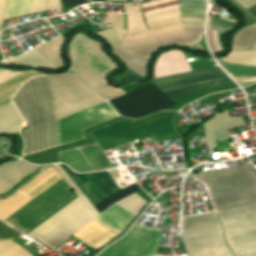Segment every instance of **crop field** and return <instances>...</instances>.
<instances>
[{"label":"crop field","mask_w":256,"mask_h":256,"mask_svg":"<svg viewBox=\"0 0 256 256\" xmlns=\"http://www.w3.org/2000/svg\"><path fill=\"white\" fill-rule=\"evenodd\" d=\"M179 5L178 0H155L142 4L143 13ZM182 24L204 25L205 0H180ZM128 32L117 49L129 55L149 59L164 46L198 42L204 26L181 25L179 6L146 14L144 26L139 5L126 7Z\"/></svg>","instance_id":"obj_2"},{"label":"crop field","mask_w":256,"mask_h":256,"mask_svg":"<svg viewBox=\"0 0 256 256\" xmlns=\"http://www.w3.org/2000/svg\"><path fill=\"white\" fill-rule=\"evenodd\" d=\"M0 60H3V58H2V56H1V54H0Z\"/></svg>","instance_id":"obj_49"},{"label":"crop field","mask_w":256,"mask_h":256,"mask_svg":"<svg viewBox=\"0 0 256 256\" xmlns=\"http://www.w3.org/2000/svg\"><path fill=\"white\" fill-rule=\"evenodd\" d=\"M112 51L123 61L125 66L130 68L139 76L143 78L145 77V64L147 62L146 59L135 58L113 48Z\"/></svg>","instance_id":"obj_25"},{"label":"crop field","mask_w":256,"mask_h":256,"mask_svg":"<svg viewBox=\"0 0 256 256\" xmlns=\"http://www.w3.org/2000/svg\"><path fill=\"white\" fill-rule=\"evenodd\" d=\"M32 0H7L5 18L18 17L30 14Z\"/></svg>","instance_id":"obj_24"},{"label":"crop field","mask_w":256,"mask_h":256,"mask_svg":"<svg viewBox=\"0 0 256 256\" xmlns=\"http://www.w3.org/2000/svg\"><path fill=\"white\" fill-rule=\"evenodd\" d=\"M253 50H256V47Z\"/></svg>","instance_id":"obj_51"},{"label":"crop field","mask_w":256,"mask_h":256,"mask_svg":"<svg viewBox=\"0 0 256 256\" xmlns=\"http://www.w3.org/2000/svg\"><path fill=\"white\" fill-rule=\"evenodd\" d=\"M202 43H203V45H204V42H203V40L201 41Z\"/></svg>","instance_id":"obj_50"},{"label":"crop field","mask_w":256,"mask_h":256,"mask_svg":"<svg viewBox=\"0 0 256 256\" xmlns=\"http://www.w3.org/2000/svg\"><path fill=\"white\" fill-rule=\"evenodd\" d=\"M161 229L146 228L134 224L126 235L104 249L98 256L153 255L157 251Z\"/></svg>","instance_id":"obj_11"},{"label":"crop field","mask_w":256,"mask_h":256,"mask_svg":"<svg viewBox=\"0 0 256 256\" xmlns=\"http://www.w3.org/2000/svg\"><path fill=\"white\" fill-rule=\"evenodd\" d=\"M39 166L30 165L24 161L19 160L15 163H7L0 166V194L11 189L21 179L29 176Z\"/></svg>","instance_id":"obj_16"},{"label":"crop field","mask_w":256,"mask_h":256,"mask_svg":"<svg viewBox=\"0 0 256 256\" xmlns=\"http://www.w3.org/2000/svg\"><path fill=\"white\" fill-rule=\"evenodd\" d=\"M236 82H253L256 81V77H233Z\"/></svg>","instance_id":"obj_42"},{"label":"crop field","mask_w":256,"mask_h":256,"mask_svg":"<svg viewBox=\"0 0 256 256\" xmlns=\"http://www.w3.org/2000/svg\"><path fill=\"white\" fill-rule=\"evenodd\" d=\"M62 42H63V39L60 36L52 41H49L35 48V50L38 51L42 56H44L48 61H50L53 64L60 58L59 51H60Z\"/></svg>","instance_id":"obj_23"},{"label":"crop field","mask_w":256,"mask_h":256,"mask_svg":"<svg viewBox=\"0 0 256 256\" xmlns=\"http://www.w3.org/2000/svg\"><path fill=\"white\" fill-rule=\"evenodd\" d=\"M58 179V176L50 167L38 177H36L34 180H32L30 183H28L26 186H24L21 190L33 196H37L39 193L48 188ZM31 199L32 198L17 191L8 199L0 201V217L7 218L9 215H11L13 212L22 207Z\"/></svg>","instance_id":"obj_14"},{"label":"crop field","mask_w":256,"mask_h":256,"mask_svg":"<svg viewBox=\"0 0 256 256\" xmlns=\"http://www.w3.org/2000/svg\"><path fill=\"white\" fill-rule=\"evenodd\" d=\"M98 36L104 38L111 47L116 48L118 45L119 41L113 31V29H108L103 32L97 33Z\"/></svg>","instance_id":"obj_36"},{"label":"crop field","mask_w":256,"mask_h":256,"mask_svg":"<svg viewBox=\"0 0 256 256\" xmlns=\"http://www.w3.org/2000/svg\"><path fill=\"white\" fill-rule=\"evenodd\" d=\"M141 188L138 186L137 183H134L108 197H106L103 201H101L100 203H98L96 206H94L97 211L100 213L101 211H103L104 209H106L108 206H110L112 203H114L115 201L133 193L136 192L138 190H140Z\"/></svg>","instance_id":"obj_26"},{"label":"crop field","mask_w":256,"mask_h":256,"mask_svg":"<svg viewBox=\"0 0 256 256\" xmlns=\"http://www.w3.org/2000/svg\"><path fill=\"white\" fill-rule=\"evenodd\" d=\"M240 5H242L245 9L256 4V0H236Z\"/></svg>","instance_id":"obj_40"},{"label":"crop field","mask_w":256,"mask_h":256,"mask_svg":"<svg viewBox=\"0 0 256 256\" xmlns=\"http://www.w3.org/2000/svg\"><path fill=\"white\" fill-rule=\"evenodd\" d=\"M138 84H134V85H125L120 87L125 93L128 92L129 90L135 88Z\"/></svg>","instance_id":"obj_43"},{"label":"crop field","mask_w":256,"mask_h":256,"mask_svg":"<svg viewBox=\"0 0 256 256\" xmlns=\"http://www.w3.org/2000/svg\"><path fill=\"white\" fill-rule=\"evenodd\" d=\"M173 112L164 114L162 116L132 125L134 123H128L124 121H119L113 124H110L108 126L102 127L100 129L95 130L92 132V136L97 141V143L100 145V147L108 146L114 143H118L121 141H124L126 139H129V141L149 135L154 133L158 141H166V140H178L182 139L179 133L175 130L173 127L172 119H173ZM172 116V117H169ZM169 117V118H166ZM166 118V119H163ZM163 119V120H160ZM160 120V121H157ZM157 121V122H154ZM154 122V123H151ZM148 123H151L149 125H146ZM128 125H132L129 127H125ZM146 125V126H143ZM143 126V127H140ZM125 127V128H122ZM140 127V128H137ZM123 132L128 131L123 133ZM90 134V135H91Z\"/></svg>","instance_id":"obj_7"},{"label":"crop field","mask_w":256,"mask_h":256,"mask_svg":"<svg viewBox=\"0 0 256 256\" xmlns=\"http://www.w3.org/2000/svg\"><path fill=\"white\" fill-rule=\"evenodd\" d=\"M190 47H192V48H194V49H196V50L204 51L199 42H198V43H195V44H193V45H190Z\"/></svg>","instance_id":"obj_44"},{"label":"crop field","mask_w":256,"mask_h":256,"mask_svg":"<svg viewBox=\"0 0 256 256\" xmlns=\"http://www.w3.org/2000/svg\"><path fill=\"white\" fill-rule=\"evenodd\" d=\"M251 10H252V14L254 15V16H256V6L255 7H253V8H251Z\"/></svg>","instance_id":"obj_46"},{"label":"crop field","mask_w":256,"mask_h":256,"mask_svg":"<svg viewBox=\"0 0 256 256\" xmlns=\"http://www.w3.org/2000/svg\"><path fill=\"white\" fill-rule=\"evenodd\" d=\"M108 20L114 28L119 40L125 37L126 31H123V14L105 12ZM124 30H126V14H124Z\"/></svg>","instance_id":"obj_30"},{"label":"crop field","mask_w":256,"mask_h":256,"mask_svg":"<svg viewBox=\"0 0 256 256\" xmlns=\"http://www.w3.org/2000/svg\"><path fill=\"white\" fill-rule=\"evenodd\" d=\"M0 256H30L13 240L0 241Z\"/></svg>","instance_id":"obj_31"},{"label":"crop field","mask_w":256,"mask_h":256,"mask_svg":"<svg viewBox=\"0 0 256 256\" xmlns=\"http://www.w3.org/2000/svg\"><path fill=\"white\" fill-rule=\"evenodd\" d=\"M232 162L235 167L194 175L207 186L217 212L256 204V175L243 159ZM217 214L232 254L256 253V205Z\"/></svg>","instance_id":"obj_3"},{"label":"crop field","mask_w":256,"mask_h":256,"mask_svg":"<svg viewBox=\"0 0 256 256\" xmlns=\"http://www.w3.org/2000/svg\"><path fill=\"white\" fill-rule=\"evenodd\" d=\"M109 102L120 115L131 118H140L176 105L153 83L135 88Z\"/></svg>","instance_id":"obj_9"},{"label":"crop field","mask_w":256,"mask_h":256,"mask_svg":"<svg viewBox=\"0 0 256 256\" xmlns=\"http://www.w3.org/2000/svg\"><path fill=\"white\" fill-rule=\"evenodd\" d=\"M5 10H6V0H0V26L3 22Z\"/></svg>","instance_id":"obj_41"},{"label":"crop field","mask_w":256,"mask_h":256,"mask_svg":"<svg viewBox=\"0 0 256 256\" xmlns=\"http://www.w3.org/2000/svg\"><path fill=\"white\" fill-rule=\"evenodd\" d=\"M236 23H237V21H233V20H229V19H211L209 26L227 31L231 27H233ZM214 28H210V29L217 30ZM221 30H217V31H220L223 33L225 32V31H221Z\"/></svg>","instance_id":"obj_35"},{"label":"crop field","mask_w":256,"mask_h":256,"mask_svg":"<svg viewBox=\"0 0 256 256\" xmlns=\"http://www.w3.org/2000/svg\"><path fill=\"white\" fill-rule=\"evenodd\" d=\"M48 78L57 119L105 101L73 73ZM48 78L28 79L13 99L31 129L20 133L25 145L23 156L57 146L56 118Z\"/></svg>","instance_id":"obj_1"},{"label":"crop field","mask_w":256,"mask_h":256,"mask_svg":"<svg viewBox=\"0 0 256 256\" xmlns=\"http://www.w3.org/2000/svg\"><path fill=\"white\" fill-rule=\"evenodd\" d=\"M190 71L181 51H169L162 54L154 65V79Z\"/></svg>","instance_id":"obj_15"},{"label":"crop field","mask_w":256,"mask_h":256,"mask_svg":"<svg viewBox=\"0 0 256 256\" xmlns=\"http://www.w3.org/2000/svg\"><path fill=\"white\" fill-rule=\"evenodd\" d=\"M134 216L135 215L114 203L93 220L118 234Z\"/></svg>","instance_id":"obj_17"},{"label":"crop field","mask_w":256,"mask_h":256,"mask_svg":"<svg viewBox=\"0 0 256 256\" xmlns=\"http://www.w3.org/2000/svg\"><path fill=\"white\" fill-rule=\"evenodd\" d=\"M53 166L78 197L33 231L27 233L52 249L99 214L60 166Z\"/></svg>","instance_id":"obj_4"},{"label":"crop field","mask_w":256,"mask_h":256,"mask_svg":"<svg viewBox=\"0 0 256 256\" xmlns=\"http://www.w3.org/2000/svg\"><path fill=\"white\" fill-rule=\"evenodd\" d=\"M213 34H214V40H215V44H216L218 51L223 50L222 44L220 42V37L222 36V33H217L214 31ZM208 37H209V41H210L212 50L217 51L215 44H214L212 31H210V30H208Z\"/></svg>","instance_id":"obj_37"},{"label":"crop field","mask_w":256,"mask_h":256,"mask_svg":"<svg viewBox=\"0 0 256 256\" xmlns=\"http://www.w3.org/2000/svg\"><path fill=\"white\" fill-rule=\"evenodd\" d=\"M116 116L118 114L105 102L58 120V146L84 139L82 129Z\"/></svg>","instance_id":"obj_10"},{"label":"crop field","mask_w":256,"mask_h":256,"mask_svg":"<svg viewBox=\"0 0 256 256\" xmlns=\"http://www.w3.org/2000/svg\"><path fill=\"white\" fill-rule=\"evenodd\" d=\"M15 234L17 233L0 223V240L10 239Z\"/></svg>","instance_id":"obj_38"},{"label":"crop field","mask_w":256,"mask_h":256,"mask_svg":"<svg viewBox=\"0 0 256 256\" xmlns=\"http://www.w3.org/2000/svg\"><path fill=\"white\" fill-rule=\"evenodd\" d=\"M105 100L124 95L125 93L120 88H113L108 84L106 79L94 88Z\"/></svg>","instance_id":"obj_33"},{"label":"crop field","mask_w":256,"mask_h":256,"mask_svg":"<svg viewBox=\"0 0 256 256\" xmlns=\"http://www.w3.org/2000/svg\"><path fill=\"white\" fill-rule=\"evenodd\" d=\"M21 125H22V124H20V125L14 127V128H12V129H10V130H8V131H5V132L16 133V132H18V130H19V128L21 127Z\"/></svg>","instance_id":"obj_45"},{"label":"crop field","mask_w":256,"mask_h":256,"mask_svg":"<svg viewBox=\"0 0 256 256\" xmlns=\"http://www.w3.org/2000/svg\"><path fill=\"white\" fill-rule=\"evenodd\" d=\"M4 64H11V65H19V66H31L43 69H61L64 66V61L62 58L55 64H50L46 61L40 54H38L34 49L5 62Z\"/></svg>","instance_id":"obj_19"},{"label":"crop field","mask_w":256,"mask_h":256,"mask_svg":"<svg viewBox=\"0 0 256 256\" xmlns=\"http://www.w3.org/2000/svg\"><path fill=\"white\" fill-rule=\"evenodd\" d=\"M58 8H62L60 0H33L31 14Z\"/></svg>","instance_id":"obj_34"},{"label":"crop field","mask_w":256,"mask_h":256,"mask_svg":"<svg viewBox=\"0 0 256 256\" xmlns=\"http://www.w3.org/2000/svg\"><path fill=\"white\" fill-rule=\"evenodd\" d=\"M74 197V192L61 178L6 220L27 233Z\"/></svg>","instance_id":"obj_6"},{"label":"crop field","mask_w":256,"mask_h":256,"mask_svg":"<svg viewBox=\"0 0 256 256\" xmlns=\"http://www.w3.org/2000/svg\"><path fill=\"white\" fill-rule=\"evenodd\" d=\"M256 31V24L243 28L235 35L233 49H248Z\"/></svg>","instance_id":"obj_27"},{"label":"crop field","mask_w":256,"mask_h":256,"mask_svg":"<svg viewBox=\"0 0 256 256\" xmlns=\"http://www.w3.org/2000/svg\"><path fill=\"white\" fill-rule=\"evenodd\" d=\"M255 45H256V37H255V39H254V42H253V45H252L251 49H252Z\"/></svg>","instance_id":"obj_47"},{"label":"crop field","mask_w":256,"mask_h":256,"mask_svg":"<svg viewBox=\"0 0 256 256\" xmlns=\"http://www.w3.org/2000/svg\"><path fill=\"white\" fill-rule=\"evenodd\" d=\"M116 203L136 215L146 202L134 193Z\"/></svg>","instance_id":"obj_32"},{"label":"crop field","mask_w":256,"mask_h":256,"mask_svg":"<svg viewBox=\"0 0 256 256\" xmlns=\"http://www.w3.org/2000/svg\"><path fill=\"white\" fill-rule=\"evenodd\" d=\"M79 150L81 151L93 171H101L112 168V165L101 152L97 144L80 147Z\"/></svg>","instance_id":"obj_21"},{"label":"crop field","mask_w":256,"mask_h":256,"mask_svg":"<svg viewBox=\"0 0 256 256\" xmlns=\"http://www.w3.org/2000/svg\"><path fill=\"white\" fill-rule=\"evenodd\" d=\"M153 256H164V255H160V254H155V255H153Z\"/></svg>","instance_id":"obj_48"},{"label":"crop field","mask_w":256,"mask_h":256,"mask_svg":"<svg viewBox=\"0 0 256 256\" xmlns=\"http://www.w3.org/2000/svg\"><path fill=\"white\" fill-rule=\"evenodd\" d=\"M228 74L232 76H256L255 66L235 65L219 61Z\"/></svg>","instance_id":"obj_29"},{"label":"crop field","mask_w":256,"mask_h":256,"mask_svg":"<svg viewBox=\"0 0 256 256\" xmlns=\"http://www.w3.org/2000/svg\"><path fill=\"white\" fill-rule=\"evenodd\" d=\"M182 230L190 256H232L215 212L183 218Z\"/></svg>","instance_id":"obj_5"},{"label":"crop field","mask_w":256,"mask_h":256,"mask_svg":"<svg viewBox=\"0 0 256 256\" xmlns=\"http://www.w3.org/2000/svg\"><path fill=\"white\" fill-rule=\"evenodd\" d=\"M221 60L230 63L256 66V51H232L227 57Z\"/></svg>","instance_id":"obj_28"},{"label":"crop field","mask_w":256,"mask_h":256,"mask_svg":"<svg viewBox=\"0 0 256 256\" xmlns=\"http://www.w3.org/2000/svg\"><path fill=\"white\" fill-rule=\"evenodd\" d=\"M245 124L242 117L229 118L227 111L216 114L204 124L206 144L210 148L214 146L213 133Z\"/></svg>","instance_id":"obj_18"},{"label":"crop field","mask_w":256,"mask_h":256,"mask_svg":"<svg viewBox=\"0 0 256 256\" xmlns=\"http://www.w3.org/2000/svg\"><path fill=\"white\" fill-rule=\"evenodd\" d=\"M63 160L76 172H92V169L78 150L72 149L59 153Z\"/></svg>","instance_id":"obj_22"},{"label":"crop field","mask_w":256,"mask_h":256,"mask_svg":"<svg viewBox=\"0 0 256 256\" xmlns=\"http://www.w3.org/2000/svg\"><path fill=\"white\" fill-rule=\"evenodd\" d=\"M92 41L77 35L70 47V70L92 88L117 66Z\"/></svg>","instance_id":"obj_8"},{"label":"crop field","mask_w":256,"mask_h":256,"mask_svg":"<svg viewBox=\"0 0 256 256\" xmlns=\"http://www.w3.org/2000/svg\"><path fill=\"white\" fill-rule=\"evenodd\" d=\"M210 1H215V0H210Z\"/></svg>","instance_id":"obj_52"},{"label":"crop field","mask_w":256,"mask_h":256,"mask_svg":"<svg viewBox=\"0 0 256 256\" xmlns=\"http://www.w3.org/2000/svg\"><path fill=\"white\" fill-rule=\"evenodd\" d=\"M85 0H63L65 9L75 6L77 4L85 3Z\"/></svg>","instance_id":"obj_39"},{"label":"crop field","mask_w":256,"mask_h":256,"mask_svg":"<svg viewBox=\"0 0 256 256\" xmlns=\"http://www.w3.org/2000/svg\"><path fill=\"white\" fill-rule=\"evenodd\" d=\"M35 75L38 74L0 71V103L11 98L25 79ZM21 121L10 99L0 104V131Z\"/></svg>","instance_id":"obj_12"},{"label":"crop field","mask_w":256,"mask_h":256,"mask_svg":"<svg viewBox=\"0 0 256 256\" xmlns=\"http://www.w3.org/2000/svg\"><path fill=\"white\" fill-rule=\"evenodd\" d=\"M72 235L98 248L115 236L91 221Z\"/></svg>","instance_id":"obj_20"},{"label":"crop field","mask_w":256,"mask_h":256,"mask_svg":"<svg viewBox=\"0 0 256 256\" xmlns=\"http://www.w3.org/2000/svg\"><path fill=\"white\" fill-rule=\"evenodd\" d=\"M60 166L93 206L106 196L120 190L105 171L90 174H75L67 166L63 164H60Z\"/></svg>","instance_id":"obj_13"}]
</instances>
